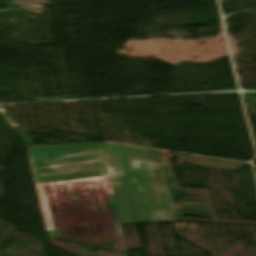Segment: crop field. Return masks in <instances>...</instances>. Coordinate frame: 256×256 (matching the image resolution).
<instances>
[{"label":"crop field","mask_w":256,"mask_h":256,"mask_svg":"<svg viewBox=\"0 0 256 256\" xmlns=\"http://www.w3.org/2000/svg\"><path fill=\"white\" fill-rule=\"evenodd\" d=\"M30 154L37 184L108 175L101 145L35 148Z\"/></svg>","instance_id":"1"},{"label":"crop field","mask_w":256,"mask_h":256,"mask_svg":"<svg viewBox=\"0 0 256 256\" xmlns=\"http://www.w3.org/2000/svg\"><path fill=\"white\" fill-rule=\"evenodd\" d=\"M119 180H112L122 223L150 221L147 210L169 209L155 195L149 169L130 170L127 156L113 153Z\"/></svg>","instance_id":"2"},{"label":"crop field","mask_w":256,"mask_h":256,"mask_svg":"<svg viewBox=\"0 0 256 256\" xmlns=\"http://www.w3.org/2000/svg\"><path fill=\"white\" fill-rule=\"evenodd\" d=\"M102 146L105 150L111 179H118L112 156L113 152L127 155L130 160L131 169L150 168L156 194H167L170 205V210L148 211L150 220L173 219V205L161 163L160 151L116 144Z\"/></svg>","instance_id":"3"}]
</instances>
